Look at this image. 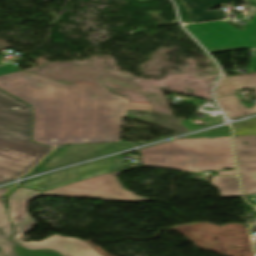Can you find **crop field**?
Segmentation results:
<instances>
[{
    "label": "crop field",
    "mask_w": 256,
    "mask_h": 256,
    "mask_svg": "<svg viewBox=\"0 0 256 256\" xmlns=\"http://www.w3.org/2000/svg\"><path fill=\"white\" fill-rule=\"evenodd\" d=\"M254 87L256 91V73L222 78L216 87V97L235 94V89ZM231 119L256 113V104L252 109L244 106L237 96L217 99ZM224 111V112H225Z\"/></svg>",
    "instance_id": "e52e79f7"
},
{
    "label": "crop field",
    "mask_w": 256,
    "mask_h": 256,
    "mask_svg": "<svg viewBox=\"0 0 256 256\" xmlns=\"http://www.w3.org/2000/svg\"><path fill=\"white\" fill-rule=\"evenodd\" d=\"M256 6V0H249ZM211 54L256 48V14L243 32L226 22L187 26Z\"/></svg>",
    "instance_id": "412701ff"
},
{
    "label": "crop field",
    "mask_w": 256,
    "mask_h": 256,
    "mask_svg": "<svg viewBox=\"0 0 256 256\" xmlns=\"http://www.w3.org/2000/svg\"><path fill=\"white\" fill-rule=\"evenodd\" d=\"M255 56L252 58L251 65L256 70V50L254 51Z\"/></svg>",
    "instance_id": "214f88e0"
},
{
    "label": "crop field",
    "mask_w": 256,
    "mask_h": 256,
    "mask_svg": "<svg viewBox=\"0 0 256 256\" xmlns=\"http://www.w3.org/2000/svg\"><path fill=\"white\" fill-rule=\"evenodd\" d=\"M233 126L235 129L234 135L256 134V119Z\"/></svg>",
    "instance_id": "5142ce71"
},
{
    "label": "crop field",
    "mask_w": 256,
    "mask_h": 256,
    "mask_svg": "<svg viewBox=\"0 0 256 256\" xmlns=\"http://www.w3.org/2000/svg\"><path fill=\"white\" fill-rule=\"evenodd\" d=\"M132 142H118L105 144H81V145H67L59 154L50 160L38 172L62 166L68 163L93 157L96 155L132 147ZM36 172V173H38Z\"/></svg>",
    "instance_id": "5a996713"
},
{
    "label": "crop field",
    "mask_w": 256,
    "mask_h": 256,
    "mask_svg": "<svg viewBox=\"0 0 256 256\" xmlns=\"http://www.w3.org/2000/svg\"><path fill=\"white\" fill-rule=\"evenodd\" d=\"M16 71L17 70L14 68L12 64L0 66V75L8 74Z\"/></svg>",
    "instance_id": "733c2abd"
},
{
    "label": "crop field",
    "mask_w": 256,
    "mask_h": 256,
    "mask_svg": "<svg viewBox=\"0 0 256 256\" xmlns=\"http://www.w3.org/2000/svg\"><path fill=\"white\" fill-rule=\"evenodd\" d=\"M7 189H9V187H5V188L0 189V195H1L3 192H5Z\"/></svg>",
    "instance_id": "dafd665d"
},
{
    "label": "crop field",
    "mask_w": 256,
    "mask_h": 256,
    "mask_svg": "<svg viewBox=\"0 0 256 256\" xmlns=\"http://www.w3.org/2000/svg\"><path fill=\"white\" fill-rule=\"evenodd\" d=\"M254 244H255V248H256V242Z\"/></svg>",
    "instance_id": "a9b5d70f"
},
{
    "label": "crop field",
    "mask_w": 256,
    "mask_h": 256,
    "mask_svg": "<svg viewBox=\"0 0 256 256\" xmlns=\"http://www.w3.org/2000/svg\"><path fill=\"white\" fill-rule=\"evenodd\" d=\"M212 185L219 188L222 198L241 196L236 177H212Z\"/></svg>",
    "instance_id": "cbeb9de0"
},
{
    "label": "crop field",
    "mask_w": 256,
    "mask_h": 256,
    "mask_svg": "<svg viewBox=\"0 0 256 256\" xmlns=\"http://www.w3.org/2000/svg\"><path fill=\"white\" fill-rule=\"evenodd\" d=\"M31 107L0 91V183L26 173L52 148L30 142Z\"/></svg>",
    "instance_id": "ac0d7876"
},
{
    "label": "crop field",
    "mask_w": 256,
    "mask_h": 256,
    "mask_svg": "<svg viewBox=\"0 0 256 256\" xmlns=\"http://www.w3.org/2000/svg\"><path fill=\"white\" fill-rule=\"evenodd\" d=\"M112 162L113 157L51 175L43 176L39 180L22 184V187L44 192L95 175L111 172Z\"/></svg>",
    "instance_id": "dd49c442"
},
{
    "label": "crop field",
    "mask_w": 256,
    "mask_h": 256,
    "mask_svg": "<svg viewBox=\"0 0 256 256\" xmlns=\"http://www.w3.org/2000/svg\"><path fill=\"white\" fill-rule=\"evenodd\" d=\"M41 192L20 187L8 197L9 211L15 228L12 241L21 245L25 243L20 238L34 225L38 224L27 212V204Z\"/></svg>",
    "instance_id": "3316defc"
},
{
    "label": "crop field",
    "mask_w": 256,
    "mask_h": 256,
    "mask_svg": "<svg viewBox=\"0 0 256 256\" xmlns=\"http://www.w3.org/2000/svg\"><path fill=\"white\" fill-rule=\"evenodd\" d=\"M26 74L0 76V88L34 106L33 141L45 145L118 142L120 120L128 110H153L151 104L129 103L107 87L64 85Z\"/></svg>",
    "instance_id": "8a807250"
},
{
    "label": "crop field",
    "mask_w": 256,
    "mask_h": 256,
    "mask_svg": "<svg viewBox=\"0 0 256 256\" xmlns=\"http://www.w3.org/2000/svg\"><path fill=\"white\" fill-rule=\"evenodd\" d=\"M140 166L116 171L113 173L102 174L86 180H82L73 184H69L54 190L42 193L41 195L51 196H70L94 198L102 200H118V201H150L141 196L134 195L132 192L124 189L114 175L135 169Z\"/></svg>",
    "instance_id": "f4fd0767"
},
{
    "label": "crop field",
    "mask_w": 256,
    "mask_h": 256,
    "mask_svg": "<svg viewBox=\"0 0 256 256\" xmlns=\"http://www.w3.org/2000/svg\"><path fill=\"white\" fill-rule=\"evenodd\" d=\"M141 152L144 166L195 173L218 170V175H237L230 137L179 139ZM227 167L234 170L220 171Z\"/></svg>",
    "instance_id": "34b2d1b8"
},
{
    "label": "crop field",
    "mask_w": 256,
    "mask_h": 256,
    "mask_svg": "<svg viewBox=\"0 0 256 256\" xmlns=\"http://www.w3.org/2000/svg\"><path fill=\"white\" fill-rule=\"evenodd\" d=\"M20 256H59L53 251H28L20 246L16 248Z\"/></svg>",
    "instance_id": "d9b57169"
},
{
    "label": "crop field",
    "mask_w": 256,
    "mask_h": 256,
    "mask_svg": "<svg viewBox=\"0 0 256 256\" xmlns=\"http://www.w3.org/2000/svg\"><path fill=\"white\" fill-rule=\"evenodd\" d=\"M18 187H14L12 188L10 191H8L5 195H3L2 197H7L9 194H11L15 189H17Z\"/></svg>",
    "instance_id": "92a150f3"
},
{
    "label": "crop field",
    "mask_w": 256,
    "mask_h": 256,
    "mask_svg": "<svg viewBox=\"0 0 256 256\" xmlns=\"http://www.w3.org/2000/svg\"><path fill=\"white\" fill-rule=\"evenodd\" d=\"M149 13L158 21L157 23H159V24H170L159 16V14L162 13L161 11L149 12Z\"/></svg>",
    "instance_id": "4a817a6b"
},
{
    "label": "crop field",
    "mask_w": 256,
    "mask_h": 256,
    "mask_svg": "<svg viewBox=\"0 0 256 256\" xmlns=\"http://www.w3.org/2000/svg\"><path fill=\"white\" fill-rule=\"evenodd\" d=\"M31 250L52 249L59 251L63 256H100L89 244L80 239L54 235L41 242L30 241L21 245Z\"/></svg>",
    "instance_id": "28ad6ade"
},
{
    "label": "crop field",
    "mask_w": 256,
    "mask_h": 256,
    "mask_svg": "<svg viewBox=\"0 0 256 256\" xmlns=\"http://www.w3.org/2000/svg\"><path fill=\"white\" fill-rule=\"evenodd\" d=\"M191 11L192 22H201L217 19H225L226 17L222 12L208 11V8H212L216 5L236 1V0H183Z\"/></svg>",
    "instance_id": "d1516ede"
},
{
    "label": "crop field",
    "mask_w": 256,
    "mask_h": 256,
    "mask_svg": "<svg viewBox=\"0 0 256 256\" xmlns=\"http://www.w3.org/2000/svg\"><path fill=\"white\" fill-rule=\"evenodd\" d=\"M2 200L5 198H0V256H17L13 249L16 244L8 240L13 230Z\"/></svg>",
    "instance_id": "22f410ed"
},
{
    "label": "crop field",
    "mask_w": 256,
    "mask_h": 256,
    "mask_svg": "<svg viewBox=\"0 0 256 256\" xmlns=\"http://www.w3.org/2000/svg\"><path fill=\"white\" fill-rule=\"evenodd\" d=\"M58 151V149L57 150H54L52 153H50L44 160H42L32 171H30L28 174H32V173H34L35 171H37L39 168H40V166L44 163V162H46L50 157H52L56 152ZM27 174V175H28Z\"/></svg>",
    "instance_id": "bc2a9ffb"
},
{
    "label": "crop field",
    "mask_w": 256,
    "mask_h": 256,
    "mask_svg": "<svg viewBox=\"0 0 256 256\" xmlns=\"http://www.w3.org/2000/svg\"><path fill=\"white\" fill-rule=\"evenodd\" d=\"M138 1L143 2V1H147V0H138Z\"/></svg>",
    "instance_id": "00972430"
},
{
    "label": "crop field",
    "mask_w": 256,
    "mask_h": 256,
    "mask_svg": "<svg viewBox=\"0 0 256 256\" xmlns=\"http://www.w3.org/2000/svg\"><path fill=\"white\" fill-rule=\"evenodd\" d=\"M236 158L245 195L256 193V135L234 136Z\"/></svg>",
    "instance_id": "d8731c3e"
}]
</instances>
